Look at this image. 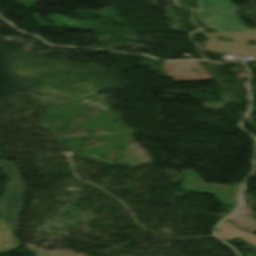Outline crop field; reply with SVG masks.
I'll use <instances>...</instances> for the list:
<instances>
[{
	"instance_id": "1",
	"label": "crop field",
	"mask_w": 256,
	"mask_h": 256,
	"mask_svg": "<svg viewBox=\"0 0 256 256\" xmlns=\"http://www.w3.org/2000/svg\"><path fill=\"white\" fill-rule=\"evenodd\" d=\"M235 10L236 7L230 0H198L197 20L218 30L225 39H235L232 43H226L213 39L215 34H210L209 45L205 49L217 53L256 55V46H245L250 41L256 42V30L250 31L242 27L241 19L233 15Z\"/></svg>"
},
{
	"instance_id": "2",
	"label": "crop field",
	"mask_w": 256,
	"mask_h": 256,
	"mask_svg": "<svg viewBox=\"0 0 256 256\" xmlns=\"http://www.w3.org/2000/svg\"><path fill=\"white\" fill-rule=\"evenodd\" d=\"M0 168L11 178L4 197L0 199V215L12 232L18 229V217L24 198V189L19 170L12 163L0 161Z\"/></svg>"
}]
</instances>
